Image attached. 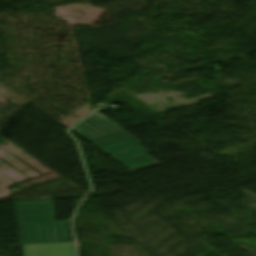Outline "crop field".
I'll list each match as a JSON object with an SVG mask.
<instances>
[{"mask_svg":"<svg viewBox=\"0 0 256 256\" xmlns=\"http://www.w3.org/2000/svg\"><path fill=\"white\" fill-rule=\"evenodd\" d=\"M123 130L97 112L71 129L132 172L160 164L146 154L149 151L141 142Z\"/></svg>","mask_w":256,"mask_h":256,"instance_id":"8a807250","label":"crop field"},{"mask_svg":"<svg viewBox=\"0 0 256 256\" xmlns=\"http://www.w3.org/2000/svg\"><path fill=\"white\" fill-rule=\"evenodd\" d=\"M14 203L22 244L69 241L65 222H55L52 199Z\"/></svg>","mask_w":256,"mask_h":256,"instance_id":"ac0d7876","label":"crop field"},{"mask_svg":"<svg viewBox=\"0 0 256 256\" xmlns=\"http://www.w3.org/2000/svg\"><path fill=\"white\" fill-rule=\"evenodd\" d=\"M25 256H74L73 243L23 246Z\"/></svg>","mask_w":256,"mask_h":256,"instance_id":"34b2d1b8","label":"crop field"}]
</instances>
